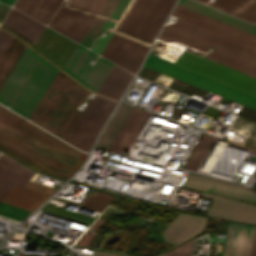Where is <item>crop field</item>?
<instances>
[{
	"label": "crop field",
	"mask_w": 256,
	"mask_h": 256,
	"mask_svg": "<svg viewBox=\"0 0 256 256\" xmlns=\"http://www.w3.org/2000/svg\"><path fill=\"white\" fill-rule=\"evenodd\" d=\"M0 147L33 167L66 178L87 156L1 106Z\"/></svg>",
	"instance_id": "8a807250"
},
{
	"label": "crop field",
	"mask_w": 256,
	"mask_h": 256,
	"mask_svg": "<svg viewBox=\"0 0 256 256\" xmlns=\"http://www.w3.org/2000/svg\"><path fill=\"white\" fill-rule=\"evenodd\" d=\"M175 0H136L101 56L134 72Z\"/></svg>",
	"instance_id": "ac0d7876"
},
{
	"label": "crop field",
	"mask_w": 256,
	"mask_h": 256,
	"mask_svg": "<svg viewBox=\"0 0 256 256\" xmlns=\"http://www.w3.org/2000/svg\"><path fill=\"white\" fill-rule=\"evenodd\" d=\"M158 39L177 40L204 53L213 45L216 49L212 53H208L205 57L256 77L255 50L178 19L175 24L163 27ZM177 41L167 42L190 50L198 55L204 54Z\"/></svg>",
	"instance_id": "34b2d1b8"
},
{
	"label": "crop field",
	"mask_w": 256,
	"mask_h": 256,
	"mask_svg": "<svg viewBox=\"0 0 256 256\" xmlns=\"http://www.w3.org/2000/svg\"><path fill=\"white\" fill-rule=\"evenodd\" d=\"M27 48L0 88V102L27 117L57 73V69Z\"/></svg>",
	"instance_id": "412701ff"
},
{
	"label": "crop field",
	"mask_w": 256,
	"mask_h": 256,
	"mask_svg": "<svg viewBox=\"0 0 256 256\" xmlns=\"http://www.w3.org/2000/svg\"><path fill=\"white\" fill-rule=\"evenodd\" d=\"M88 93L58 71L28 119L63 139Z\"/></svg>",
	"instance_id": "f4fd0767"
},
{
	"label": "crop field",
	"mask_w": 256,
	"mask_h": 256,
	"mask_svg": "<svg viewBox=\"0 0 256 256\" xmlns=\"http://www.w3.org/2000/svg\"><path fill=\"white\" fill-rule=\"evenodd\" d=\"M158 41L154 43L149 54L161 60L173 64L184 52L175 46ZM174 65L256 97L255 77L225 67L205 57H198L185 51Z\"/></svg>",
	"instance_id": "dd49c442"
},
{
	"label": "crop field",
	"mask_w": 256,
	"mask_h": 256,
	"mask_svg": "<svg viewBox=\"0 0 256 256\" xmlns=\"http://www.w3.org/2000/svg\"><path fill=\"white\" fill-rule=\"evenodd\" d=\"M104 1L71 0L61 6L49 26L79 43Z\"/></svg>",
	"instance_id": "e52e79f7"
},
{
	"label": "crop field",
	"mask_w": 256,
	"mask_h": 256,
	"mask_svg": "<svg viewBox=\"0 0 256 256\" xmlns=\"http://www.w3.org/2000/svg\"><path fill=\"white\" fill-rule=\"evenodd\" d=\"M33 174L15 160L3 154L0 156V181L23 187ZM48 196V194L14 186L1 201L32 212Z\"/></svg>",
	"instance_id": "d8731c3e"
},
{
	"label": "crop field",
	"mask_w": 256,
	"mask_h": 256,
	"mask_svg": "<svg viewBox=\"0 0 256 256\" xmlns=\"http://www.w3.org/2000/svg\"><path fill=\"white\" fill-rule=\"evenodd\" d=\"M144 66L192 84L196 87L219 95L221 97L229 98L231 100L237 101L239 103L256 109V98H253L226 86H223L206 78L168 64L164 61L158 60L150 55H148Z\"/></svg>",
	"instance_id": "5a996713"
},
{
	"label": "crop field",
	"mask_w": 256,
	"mask_h": 256,
	"mask_svg": "<svg viewBox=\"0 0 256 256\" xmlns=\"http://www.w3.org/2000/svg\"><path fill=\"white\" fill-rule=\"evenodd\" d=\"M116 102L95 95L66 142L89 151Z\"/></svg>",
	"instance_id": "3316defc"
},
{
	"label": "crop field",
	"mask_w": 256,
	"mask_h": 256,
	"mask_svg": "<svg viewBox=\"0 0 256 256\" xmlns=\"http://www.w3.org/2000/svg\"><path fill=\"white\" fill-rule=\"evenodd\" d=\"M78 45L62 70L84 86L97 92L114 64L100 57L93 68L87 66L90 59L95 60L98 55Z\"/></svg>",
	"instance_id": "28ad6ade"
},
{
	"label": "crop field",
	"mask_w": 256,
	"mask_h": 256,
	"mask_svg": "<svg viewBox=\"0 0 256 256\" xmlns=\"http://www.w3.org/2000/svg\"><path fill=\"white\" fill-rule=\"evenodd\" d=\"M172 15L256 50V36L177 4ZM232 32V34H230Z\"/></svg>",
	"instance_id": "d1516ede"
},
{
	"label": "crop field",
	"mask_w": 256,
	"mask_h": 256,
	"mask_svg": "<svg viewBox=\"0 0 256 256\" xmlns=\"http://www.w3.org/2000/svg\"><path fill=\"white\" fill-rule=\"evenodd\" d=\"M256 225L229 222L223 256H250Z\"/></svg>",
	"instance_id": "22f410ed"
},
{
	"label": "crop field",
	"mask_w": 256,
	"mask_h": 256,
	"mask_svg": "<svg viewBox=\"0 0 256 256\" xmlns=\"http://www.w3.org/2000/svg\"><path fill=\"white\" fill-rule=\"evenodd\" d=\"M202 197L214 200L208 214L219 215L245 221H256V206L223 198L220 196L202 193Z\"/></svg>",
	"instance_id": "cbeb9de0"
},
{
	"label": "crop field",
	"mask_w": 256,
	"mask_h": 256,
	"mask_svg": "<svg viewBox=\"0 0 256 256\" xmlns=\"http://www.w3.org/2000/svg\"><path fill=\"white\" fill-rule=\"evenodd\" d=\"M206 219L179 213L162 234L166 241L178 244L202 230Z\"/></svg>",
	"instance_id": "5142ce71"
},
{
	"label": "crop field",
	"mask_w": 256,
	"mask_h": 256,
	"mask_svg": "<svg viewBox=\"0 0 256 256\" xmlns=\"http://www.w3.org/2000/svg\"><path fill=\"white\" fill-rule=\"evenodd\" d=\"M148 116L149 113L133 108L108 150L125 154Z\"/></svg>",
	"instance_id": "d9b57169"
},
{
	"label": "crop field",
	"mask_w": 256,
	"mask_h": 256,
	"mask_svg": "<svg viewBox=\"0 0 256 256\" xmlns=\"http://www.w3.org/2000/svg\"><path fill=\"white\" fill-rule=\"evenodd\" d=\"M62 0H17L14 7L47 24Z\"/></svg>",
	"instance_id": "733c2abd"
},
{
	"label": "crop field",
	"mask_w": 256,
	"mask_h": 256,
	"mask_svg": "<svg viewBox=\"0 0 256 256\" xmlns=\"http://www.w3.org/2000/svg\"><path fill=\"white\" fill-rule=\"evenodd\" d=\"M134 1L135 0H119L116 7L102 27V29L109 30L108 35L103 38H98L96 42L94 41L95 43L92 46V50L94 52L98 54L102 53Z\"/></svg>",
	"instance_id": "4a817a6b"
},
{
	"label": "crop field",
	"mask_w": 256,
	"mask_h": 256,
	"mask_svg": "<svg viewBox=\"0 0 256 256\" xmlns=\"http://www.w3.org/2000/svg\"><path fill=\"white\" fill-rule=\"evenodd\" d=\"M197 1L203 3L207 2V0ZM210 6L228 12L247 21L256 22L255 0H215L210 4Z\"/></svg>",
	"instance_id": "bc2a9ffb"
},
{
	"label": "crop field",
	"mask_w": 256,
	"mask_h": 256,
	"mask_svg": "<svg viewBox=\"0 0 256 256\" xmlns=\"http://www.w3.org/2000/svg\"><path fill=\"white\" fill-rule=\"evenodd\" d=\"M178 4L256 35V25L248 24L192 0H179Z\"/></svg>",
	"instance_id": "214f88e0"
},
{
	"label": "crop field",
	"mask_w": 256,
	"mask_h": 256,
	"mask_svg": "<svg viewBox=\"0 0 256 256\" xmlns=\"http://www.w3.org/2000/svg\"><path fill=\"white\" fill-rule=\"evenodd\" d=\"M30 18L15 9H11L3 23L37 41L45 26Z\"/></svg>",
	"instance_id": "92a150f3"
},
{
	"label": "crop field",
	"mask_w": 256,
	"mask_h": 256,
	"mask_svg": "<svg viewBox=\"0 0 256 256\" xmlns=\"http://www.w3.org/2000/svg\"><path fill=\"white\" fill-rule=\"evenodd\" d=\"M132 108L120 103L106 128L104 127L105 129L95 145L96 148L107 150Z\"/></svg>",
	"instance_id": "dafd665d"
},
{
	"label": "crop field",
	"mask_w": 256,
	"mask_h": 256,
	"mask_svg": "<svg viewBox=\"0 0 256 256\" xmlns=\"http://www.w3.org/2000/svg\"><path fill=\"white\" fill-rule=\"evenodd\" d=\"M133 75L114 65L98 93L118 99Z\"/></svg>",
	"instance_id": "00972430"
},
{
	"label": "crop field",
	"mask_w": 256,
	"mask_h": 256,
	"mask_svg": "<svg viewBox=\"0 0 256 256\" xmlns=\"http://www.w3.org/2000/svg\"><path fill=\"white\" fill-rule=\"evenodd\" d=\"M206 191L235 199L256 203V195L250 190L234 184L214 179H212Z\"/></svg>",
	"instance_id": "a9b5d70f"
},
{
	"label": "crop field",
	"mask_w": 256,
	"mask_h": 256,
	"mask_svg": "<svg viewBox=\"0 0 256 256\" xmlns=\"http://www.w3.org/2000/svg\"><path fill=\"white\" fill-rule=\"evenodd\" d=\"M23 44V43H22ZM13 37L0 58V87L26 46Z\"/></svg>",
	"instance_id": "4177f3b9"
},
{
	"label": "crop field",
	"mask_w": 256,
	"mask_h": 256,
	"mask_svg": "<svg viewBox=\"0 0 256 256\" xmlns=\"http://www.w3.org/2000/svg\"><path fill=\"white\" fill-rule=\"evenodd\" d=\"M118 0H106L100 11L98 12L97 16L93 20L92 24L88 28L87 32L83 36L82 40L80 41V44L89 47L92 43L93 39L99 32L100 28L106 21L107 17L113 10L114 6Z\"/></svg>",
	"instance_id": "730fd06b"
},
{
	"label": "crop field",
	"mask_w": 256,
	"mask_h": 256,
	"mask_svg": "<svg viewBox=\"0 0 256 256\" xmlns=\"http://www.w3.org/2000/svg\"><path fill=\"white\" fill-rule=\"evenodd\" d=\"M213 140L214 138L203 134V136L201 137L200 141L196 145L195 149L191 153L183 168H187L192 171L197 170L199 164L204 158Z\"/></svg>",
	"instance_id": "eef30255"
},
{
	"label": "crop field",
	"mask_w": 256,
	"mask_h": 256,
	"mask_svg": "<svg viewBox=\"0 0 256 256\" xmlns=\"http://www.w3.org/2000/svg\"><path fill=\"white\" fill-rule=\"evenodd\" d=\"M55 198V197H53ZM115 198V196H111L105 193H101L96 191L95 195L92 196L90 194H87L84 200L81 202L79 206H83L92 210H96L99 212H102L103 209ZM58 199V198H56ZM62 200V199H60ZM65 201V200H63ZM68 202V201H66ZM71 203V202H69ZM75 204V203H73ZM78 205V204H76Z\"/></svg>",
	"instance_id": "ae1a2a85"
},
{
	"label": "crop field",
	"mask_w": 256,
	"mask_h": 256,
	"mask_svg": "<svg viewBox=\"0 0 256 256\" xmlns=\"http://www.w3.org/2000/svg\"><path fill=\"white\" fill-rule=\"evenodd\" d=\"M29 212L0 202V215L20 221Z\"/></svg>",
	"instance_id": "d3111659"
},
{
	"label": "crop field",
	"mask_w": 256,
	"mask_h": 256,
	"mask_svg": "<svg viewBox=\"0 0 256 256\" xmlns=\"http://www.w3.org/2000/svg\"><path fill=\"white\" fill-rule=\"evenodd\" d=\"M210 181H211L210 178H204V177H200L197 175L187 174L182 185L205 191V189L208 186V184L210 183Z\"/></svg>",
	"instance_id": "750c4746"
},
{
	"label": "crop field",
	"mask_w": 256,
	"mask_h": 256,
	"mask_svg": "<svg viewBox=\"0 0 256 256\" xmlns=\"http://www.w3.org/2000/svg\"><path fill=\"white\" fill-rule=\"evenodd\" d=\"M193 239L161 256H190Z\"/></svg>",
	"instance_id": "bd1437ed"
},
{
	"label": "crop field",
	"mask_w": 256,
	"mask_h": 256,
	"mask_svg": "<svg viewBox=\"0 0 256 256\" xmlns=\"http://www.w3.org/2000/svg\"><path fill=\"white\" fill-rule=\"evenodd\" d=\"M98 220H104L100 217L97 218V220L94 222V224L87 230V232L74 244V245H81V246H88L90 241L95 236L94 234L90 233L89 231L91 228L97 224Z\"/></svg>",
	"instance_id": "1d83c4d3"
},
{
	"label": "crop field",
	"mask_w": 256,
	"mask_h": 256,
	"mask_svg": "<svg viewBox=\"0 0 256 256\" xmlns=\"http://www.w3.org/2000/svg\"><path fill=\"white\" fill-rule=\"evenodd\" d=\"M12 37L13 36L0 29V55L2 54Z\"/></svg>",
	"instance_id": "120bbe31"
},
{
	"label": "crop field",
	"mask_w": 256,
	"mask_h": 256,
	"mask_svg": "<svg viewBox=\"0 0 256 256\" xmlns=\"http://www.w3.org/2000/svg\"><path fill=\"white\" fill-rule=\"evenodd\" d=\"M87 105L86 107L84 108L83 111H80L79 115L77 116V118L75 119L74 123L72 124V126L70 127L69 131L67 132V134L65 135L64 139L66 141V139L68 138L69 134L71 133V131L73 130V128L75 127L76 123L78 122V120L80 119V117L82 116V114L84 113L85 109L87 108V106L89 105V103L91 102L90 99H88L87 101Z\"/></svg>",
	"instance_id": "d32e631a"
},
{
	"label": "crop field",
	"mask_w": 256,
	"mask_h": 256,
	"mask_svg": "<svg viewBox=\"0 0 256 256\" xmlns=\"http://www.w3.org/2000/svg\"><path fill=\"white\" fill-rule=\"evenodd\" d=\"M13 187V185L0 182V200L7 194V192Z\"/></svg>",
	"instance_id": "5866460e"
},
{
	"label": "crop field",
	"mask_w": 256,
	"mask_h": 256,
	"mask_svg": "<svg viewBox=\"0 0 256 256\" xmlns=\"http://www.w3.org/2000/svg\"><path fill=\"white\" fill-rule=\"evenodd\" d=\"M251 256H256V232H255V237H254V242H253V248H252Z\"/></svg>",
	"instance_id": "028f5c9d"
},
{
	"label": "crop field",
	"mask_w": 256,
	"mask_h": 256,
	"mask_svg": "<svg viewBox=\"0 0 256 256\" xmlns=\"http://www.w3.org/2000/svg\"><path fill=\"white\" fill-rule=\"evenodd\" d=\"M0 1H2V2H5V3H8V4L12 5V4H13V2H14L15 0H0Z\"/></svg>",
	"instance_id": "e1f06a70"
},
{
	"label": "crop field",
	"mask_w": 256,
	"mask_h": 256,
	"mask_svg": "<svg viewBox=\"0 0 256 256\" xmlns=\"http://www.w3.org/2000/svg\"><path fill=\"white\" fill-rule=\"evenodd\" d=\"M108 256H129V255L109 253Z\"/></svg>",
	"instance_id": "0bd39190"
}]
</instances>
